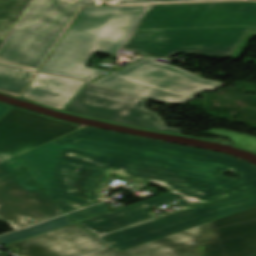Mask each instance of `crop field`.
Listing matches in <instances>:
<instances>
[{
    "mask_svg": "<svg viewBox=\"0 0 256 256\" xmlns=\"http://www.w3.org/2000/svg\"><path fill=\"white\" fill-rule=\"evenodd\" d=\"M59 214L61 210L26 168L0 179V221L16 229Z\"/></svg>",
    "mask_w": 256,
    "mask_h": 256,
    "instance_id": "3316defc",
    "label": "crop field"
},
{
    "mask_svg": "<svg viewBox=\"0 0 256 256\" xmlns=\"http://www.w3.org/2000/svg\"><path fill=\"white\" fill-rule=\"evenodd\" d=\"M256 254V206L142 245L81 256H250Z\"/></svg>",
    "mask_w": 256,
    "mask_h": 256,
    "instance_id": "412701ff",
    "label": "crop field"
},
{
    "mask_svg": "<svg viewBox=\"0 0 256 256\" xmlns=\"http://www.w3.org/2000/svg\"><path fill=\"white\" fill-rule=\"evenodd\" d=\"M108 211L109 210H108L105 202H103V203L93 206V207H89V208H86L83 210L69 213V214H67V216L70 218V220L73 223H75V222H78V221H81L84 219H88V218L103 214Z\"/></svg>",
    "mask_w": 256,
    "mask_h": 256,
    "instance_id": "733c2abd",
    "label": "crop field"
},
{
    "mask_svg": "<svg viewBox=\"0 0 256 256\" xmlns=\"http://www.w3.org/2000/svg\"><path fill=\"white\" fill-rule=\"evenodd\" d=\"M100 0H31L0 45V59L38 71L83 6Z\"/></svg>",
    "mask_w": 256,
    "mask_h": 256,
    "instance_id": "f4fd0767",
    "label": "crop field"
},
{
    "mask_svg": "<svg viewBox=\"0 0 256 256\" xmlns=\"http://www.w3.org/2000/svg\"><path fill=\"white\" fill-rule=\"evenodd\" d=\"M233 173L242 177L228 178L220 175L204 182L75 224L96 236L144 222L155 215L148 212L150 208L158 204L167 203L173 199L179 201L174 204L175 206L185 209L256 188L255 167L250 166L233 171ZM179 197L182 199H178Z\"/></svg>",
    "mask_w": 256,
    "mask_h": 256,
    "instance_id": "dd49c442",
    "label": "crop field"
},
{
    "mask_svg": "<svg viewBox=\"0 0 256 256\" xmlns=\"http://www.w3.org/2000/svg\"><path fill=\"white\" fill-rule=\"evenodd\" d=\"M106 245L71 224L6 247L18 256H75Z\"/></svg>",
    "mask_w": 256,
    "mask_h": 256,
    "instance_id": "d1516ede",
    "label": "crop field"
},
{
    "mask_svg": "<svg viewBox=\"0 0 256 256\" xmlns=\"http://www.w3.org/2000/svg\"><path fill=\"white\" fill-rule=\"evenodd\" d=\"M34 75L26 68L0 62V91L19 96Z\"/></svg>",
    "mask_w": 256,
    "mask_h": 256,
    "instance_id": "cbeb9de0",
    "label": "crop field"
},
{
    "mask_svg": "<svg viewBox=\"0 0 256 256\" xmlns=\"http://www.w3.org/2000/svg\"><path fill=\"white\" fill-rule=\"evenodd\" d=\"M75 129L74 124L13 108L0 120V162Z\"/></svg>",
    "mask_w": 256,
    "mask_h": 256,
    "instance_id": "28ad6ade",
    "label": "crop field"
},
{
    "mask_svg": "<svg viewBox=\"0 0 256 256\" xmlns=\"http://www.w3.org/2000/svg\"><path fill=\"white\" fill-rule=\"evenodd\" d=\"M110 4H134V3H161V2H184V1H211V0H105Z\"/></svg>",
    "mask_w": 256,
    "mask_h": 256,
    "instance_id": "214f88e0",
    "label": "crop field"
},
{
    "mask_svg": "<svg viewBox=\"0 0 256 256\" xmlns=\"http://www.w3.org/2000/svg\"><path fill=\"white\" fill-rule=\"evenodd\" d=\"M253 35L256 2L156 5L148 6L121 48L160 58L177 51L237 57Z\"/></svg>",
    "mask_w": 256,
    "mask_h": 256,
    "instance_id": "ac0d7876",
    "label": "crop field"
},
{
    "mask_svg": "<svg viewBox=\"0 0 256 256\" xmlns=\"http://www.w3.org/2000/svg\"><path fill=\"white\" fill-rule=\"evenodd\" d=\"M256 205V189L100 237L121 251Z\"/></svg>",
    "mask_w": 256,
    "mask_h": 256,
    "instance_id": "d8731c3e",
    "label": "crop field"
},
{
    "mask_svg": "<svg viewBox=\"0 0 256 256\" xmlns=\"http://www.w3.org/2000/svg\"><path fill=\"white\" fill-rule=\"evenodd\" d=\"M256 256V255H255Z\"/></svg>",
    "mask_w": 256,
    "mask_h": 256,
    "instance_id": "00972430",
    "label": "crop field"
},
{
    "mask_svg": "<svg viewBox=\"0 0 256 256\" xmlns=\"http://www.w3.org/2000/svg\"><path fill=\"white\" fill-rule=\"evenodd\" d=\"M84 101L88 103L85 104ZM146 104L142 99L88 83L65 111L150 130L181 134L180 130L168 128L157 114L145 110Z\"/></svg>",
    "mask_w": 256,
    "mask_h": 256,
    "instance_id": "5a996713",
    "label": "crop field"
},
{
    "mask_svg": "<svg viewBox=\"0 0 256 256\" xmlns=\"http://www.w3.org/2000/svg\"><path fill=\"white\" fill-rule=\"evenodd\" d=\"M71 224L65 215L0 236V246H6L38 234Z\"/></svg>",
    "mask_w": 256,
    "mask_h": 256,
    "instance_id": "5142ce71",
    "label": "crop field"
},
{
    "mask_svg": "<svg viewBox=\"0 0 256 256\" xmlns=\"http://www.w3.org/2000/svg\"><path fill=\"white\" fill-rule=\"evenodd\" d=\"M24 168L23 164L16 158L0 163V178Z\"/></svg>",
    "mask_w": 256,
    "mask_h": 256,
    "instance_id": "bc2a9ffb",
    "label": "crop field"
},
{
    "mask_svg": "<svg viewBox=\"0 0 256 256\" xmlns=\"http://www.w3.org/2000/svg\"><path fill=\"white\" fill-rule=\"evenodd\" d=\"M11 108V106L4 104V103H0V117L7 112L9 109Z\"/></svg>",
    "mask_w": 256,
    "mask_h": 256,
    "instance_id": "92a150f3",
    "label": "crop field"
},
{
    "mask_svg": "<svg viewBox=\"0 0 256 256\" xmlns=\"http://www.w3.org/2000/svg\"><path fill=\"white\" fill-rule=\"evenodd\" d=\"M30 0H0V44Z\"/></svg>",
    "mask_w": 256,
    "mask_h": 256,
    "instance_id": "d9b57169",
    "label": "crop field"
},
{
    "mask_svg": "<svg viewBox=\"0 0 256 256\" xmlns=\"http://www.w3.org/2000/svg\"><path fill=\"white\" fill-rule=\"evenodd\" d=\"M137 184H143V185H145V184H147V182H141V181H135V180H133L132 186L137 185Z\"/></svg>",
    "mask_w": 256,
    "mask_h": 256,
    "instance_id": "dafd665d",
    "label": "crop field"
},
{
    "mask_svg": "<svg viewBox=\"0 0 256 256\" xmlns=\"http://www.w3.org/2000/svg\"><path fill=\"white\" fill-rule=\"evenodd\" d=\"M142 59L121 72H113L95 84L159 102L180 103L194 98L203 89L222 83L203 80L177 67Z\"/></svg>",
    "mask_w": 256,
    "mask_h": 256,
    "instance_id": "e52e79f7",
    "label": "crop field"
},
{
    "mask_svg": "<svg viewBox=\"0 0 256 256\" xmlns=\"http://www.w3.org/2000/svg\"><path fill=\"white\" fill-rule=\"evenodd\" d=\"M64 213L103 201L111 172L170 191L250 166L223 154L86 127L19 156Z\"/></svg>",
    "mask_w": 256,
    "mask_h": 256,
    "instance_id": "8a807250",
    "label": "crop field"
},
{
    "mask_svg": "<svg viewBox=\"0 0 256 256\" xmlns=\"http://www.w3.org/2000/svg\"><path fill=\"white\" fill-rule=\"evenodd\" d=\"M145 6L83 8L40 69L88 80L102 72L85 67L94 52L113 54Z\"/></svg>",
    "mask_w": 256,
    "mask_h": 256,
    "instance_id": "34b2d1b8",
    "label": "crop field"
},
{
    "mask_svg": "<svg viewBox=\"0 0 256 256\" xmlns=\"http://www.w3.org/2000/svg\"><path fill=\"white\" fill-rule=\"evenodd\" d=\"M212 132H220V133H225V134H230L231 140L237 144L238 146L249 149L252 151L256 152V138L248 135H240L237 133H233L230 131L226 130H221V129H212Z\"/></svg>",
    "mask_w": 256,
    "mask_h": 256,
    "instance_id": "4a817a6b",
    "label": "crop field"
},
{
    "mask_svg": "<svg viewBox=\"0 0 256 256\" xmlns=\"http://www.w3.org/2000/svg\"><path fill=\"white\" fill-rule=\"evenodd\" d=\"M84 83L38 73L23 98L63 110Z\"/></svg>",
    "mask_w": 256,
    "mask_h": 256,
    "instance_id": "22f410ed",
    "label": "crop field"
}]
</instances>
